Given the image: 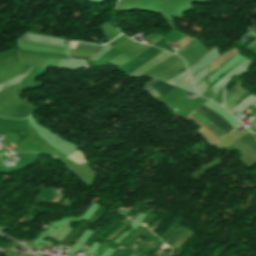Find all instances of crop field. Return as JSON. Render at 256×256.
Masks as SVG:
<instances>
[{
	"label": "crop field",
	"mask_w": 256,
	"mask_h": 256,
	"mask_svg": "<svg viewBox=\"0 0 256 256\" xmlns=\"http://www.w3.org/2000/svg\"><path fill=\"white\" fill-rule=\"evenodd\" d=\"M201 114H203L206 118H208L210 121H212L216 126H218L222 131H224L226 134L229 133L234 128L226 122L223 118H221L218 114L214 113L213 111L201 106L197 109ZM194 110L192 113L193 116L198 118L201 122H203L207 127H209L211 130H213L220 138L226 135L224 132H222L218 127H216L212 122H210L208 119H206L203 115H201L199 112Z\"/></svg>",
	"instance_id": "8a807250"
},
{
	"label": "crop field",
	"mask_w": 256,
	"mask_h": 256,
	"mask_svg": "<svg viewBox=\"0 0 256 256\" xmlns=\"http://www.w3.org/2000/svg\"><path fill=\"white\" fill-rule=\"evenodd\" d=\"M247 94L248 93L240 87V82H237V85L233 90H231L230 92H227L225 90L224 107L228 110L231 109Z\"/></svg>",
	"instance_id": "ac0d7876"
},
{
	"label": "crop field",
	"mask_w": 256,
	"mask_h": 256,
	"mask_svg": "<svg viewBox=\"0 0 256 256\" xmlns=\"http://www.w3.org/2000/svg\"><path fill=\"white\" fill-rule=\"evenodd\" d=\"M155 81H157V79H155V80H153V81H151V82H149L147 85H145V90L152 96V97H154V98H156V99H158V98H160L163 94H165L167 91H169V90H171L172 88H174L175 86H172V85H170V84H167V83H165V82H163V81H161V80H159V81H157V82H155ZM155 82V83H154ZM152 83H154V84H152ZM150 84H152V85H150ZM154 89V90H156L157 92H155L150 86Z\"/></svg>",
	"instance_id": "34b2d1b8"
},
{
	"label": "crop field",
	"mask_w": 256,
	"mask_h": 256,
	"mask_svg": "<svg viewBox=\"0 0 256 256\" xmlns=\"http://www.w3.org/2000/svg\"><path fill=\"white\" fill-rule=\"evenodd\" d=\"M76 45H77V43L74 42V43H72L71 47L72 46L76 47ZM75 47H74V49H75ZM101 47L102 46H94V45H89V44H85V43H78L76 49H84V50H89V51L97 52Z\"/></svg>",
	"instance_id": "412701ff"
},
{
	"label": "crop field",
	"mask_w": 256,
	"mask_h": 256,
	"mask_svg": "<svg viewBox=\"0 0 256 256\" xmlns=\"http://www.w3.org/2000/svg\"><path fill=\"white\" fill-rule=\"evenodd\" d=\"M185 229V228H184ZM184 229H183V231H184ZM182 230V228H180V229H177L175 232H174V234L171 236V238L168 240V242L166 243V241H165V243L168 245V246H170V247H172V245H173V243L175 242V240L180 236V234L183 232H181L180 234H178L180 231Z\"/></svg>",
	"instance_id": "f4fd0767"
},
{
	"label": "crop field",
	"mask_w": 256,
	"mask_h": 256,
	"mask_svg": "<svg viewBox=\"0 0 256 256\" xmlns=\"http://www.w3.org/2000/svg\"><path fill=\"white\" fill-rule=\"evenodd\" d=\"M70 58H75V59L85 60V61H87V60H88V59H86V58H79V57H72V56H70Z\"/></svg>",
	"instance_id": "dd49c442"
},
{
	"label": "crop field",
	"mask_w": 256,
	"mask_h": 256,
	"mask_svg": "<svg viewBox=\"0 0 256 256\" xmlns=\"http://www.w3.org/2000/svg\"><path fill=\"white\" fill-rule=\"evenodd\" d=\"M11 145H13V146H15V147H16V145H14V144H11Z\"/></svg>",
	"instance_id": "e52e79f7"
},
{
	"label": "crop field",
	"mask_w": 256,
	"mask_h": 256,
	"mask_svg": "<svg viewBox=\"0 0 256 256\" xmlns=\"http://www.w3.org/2000/svg\"><path fill=\"white\" fill-rule=\"evenodd\" d=\"M1 155V154H0Z\"/></svg>",
	"instance_id": "d8731c3e"
}]
</instances>
